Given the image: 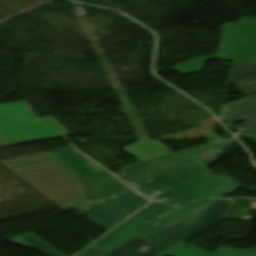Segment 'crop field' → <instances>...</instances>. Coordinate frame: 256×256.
Returning <instances> with one entry per match:
<instances>
[{
    "instance_id": "crop-field-3",
    "label": "crop field",
    "mask_w": 256,
    "mask_h": 256,
    "mask_svg": "<svg viewBox=\"0 0 256 256\" xmlns=\"http://www.w3.org/2000/svg\"><path fill=\"white\" fill-rule=\"evenodd\" d=\"M232 201L217 200L148 238L139 236L105 256H154L224 219Z\"/></svg>"
},
{
    "instance_id": "crop-field-14",
    "label": "crop field",
    "mask_w": 256,
    "mask_h": 256,
    "mask_svg": "<svg viewBox=\"0 0 256 256\" xmlns=\"http://www.w3.org/2000/svg\"><path fill=\"white\" fill-rule=\"evenodd\" d=\"M219 256H256V249H251L248 251L238 250L231 247L223 246L214 253Z\"/></svg>"
},
{
    "instance_id": "crop-field-1",
    "label": "crop field",
    "mask_w": 256,
    "mask_h": 256,
    "mask_svg": "<svg viewBox=\"0 0 256 256\" xmlns=\"http://www.w3.org/2000/svg\"><path fill=\"white\" fill-rule=\"evenodd\" d=\"M209 172L192 161L125 181L154 202L76 256H101L140 234L148 236L242 187L228 176H212Z\"/></svg>"
},
{
    "instance_id": "crop-field-13",
    "label": "crop field",
    "mask_w": 256,
    "mask_h": 256,
    "mask_svg": "<svg viewBox=\"0 0 256 256\" xmlns=\"http://www.w3.org/2000/svg\"><path fill=\"white\" fill-rule=\"evenodd\" d=\"M236 121H244L246 124L245 130L247 131V133H244V135H247L256 140V112L228 120L227 123L229 124Z\"/></svg>"
},
{
    "instance_id": "crop-field-8",
    "label": "crop field",
    "mask_w": 256,
    "mask_h": 256,
    "mask_svg": "<svg viewBox=\"0 0 256 256\" xmlns=\"http://www.w3.org/2000/svg\"><path fill=\"white\" fill-rule=\"evenodd\" d=\"M230 81L238 84L246 99L224 105L222 121L256 111V63L234 67Z\"/></svg>"
},
{
    "instance_id": "crop-field-6",
    "label": "crop field",
    "mask_w": 256,
    "mask_h": 256,
    "mask_svg": "<svg viewBox=\"0 0 256 256\" xmlns=\"http://www.w3.org/2000/svg\"><path fill=\"white\" fill-rule=\"evenodd\" d=\"M124 150L140 162L121 167L123 180L204 156V145L173 153L156 140L140 141Z\"/></svg>"
},
{
    "instance_id": "crop-field-10",
    "label": "crop field",
    "mask_w": 256,
    "mask_h": 256,
    "mask_svg": "<svg viewBox=\"0 0 256 256\" xmlns=\"http://www.w3.org/2000/svg\"><path fill=\"white\" fill-rule=\"evenodd\" d=\"M235 140L233 137L219 140V135L214 136L206 140V151L207 157L196 160L198 163L202 164L204 167L210 166L214 163L218 156Z\"/></svg>"
},
{
    "instance_id": "crop-field-11",
    "label": "crop field",
    "mask_w": 256,
    "mask_h": 256,
    "mask_svg": "<svg viewBox=\"0 0 256 256\" xmlns=\"http://www.w3.org/2000/svg\"><path fill=\"white\" fill-rule=\"evenodd\" d=\"M9 241L19 244L21 246L33 248L47 256H63L61 253H59L31 233Z\"/></svg>"
},
{
    "instance_id": "crop-field-2",
    "label": "crop field",
    "mask_w": 256,
    "mask_h": 256,
    "mask_svg": "<svg viewBox=\"0 0 256 256\" xmlns=\"http://www.w3.org/2000/svg\"><path fill=\"white\" fill-rule=\"evenodd\" d=\"M0 162L65 210L74 207L70 203L86 196L83 183L54 155L38 159L28 156Z\"/></svg>"
},
{
    "instance_id": "crop-field-15",
    "label": "crop field",
    "mask_w": 256,
    "mask_h": 256,
    "mask_svg": "<svg viewBox=\"0 0 256 256\" xmlns=\"http://www.w3.org/2000/svg\"><path fill=\"white\" fill-rule=\"evenodd\" d=\"M9 145L0 135V147Z\"/></svg>"
},
{
    "instance_id": "crop-field-4",
    "label": "crop field",
    "mask_w": 256,
    "mask_h": 256,
    "mask_svg": "<svg viewBox=\"0 0 256 256\" xmlns=\"http://www.w3.org/2000/svg\"><path fill=\"white\" fill-rule=\"evenodd\" d=\"M0 133L11 145L68 135L50 118L38 120L26 102L0 105Z\"/></svg>"
},
{
    "instance_id": "crop-field-12",
    "label": "crop field",
    "mask_w": 256,
    "mask_h": 256,
    "mask_svg": "<svg viewBox=\"0 0 256 256\" xmlns=\"http://www.w3.org/2000/svg\"><path fill=\"white\" fill-rule=\"evenodd\" d=\"M164 256H216L209 252L187 245L185 243L161 254Z\"/></svg>"
},
{
    "instance_id": "crop-field-9",
    "label": "crop field",
    "mask_w": 256,
    "mask_h": 256,
    "mask_svg": "<svg viewBox=\"0 0 256 256\" xmlns=\"http://www.w3.org/2000/svg\"><path fill=\"white\" fill-rule=\"evenodd\" d=\"M55 154L79 179L106 173L105 170L74 149L34 155L35 158Z\"/></svg>"
},
{
    "instance_id": "crop-field-5",
    "label": "crop field",
    "mask_w": 256,
    "mask_h": 256,
    "mask_svg": "<svg viewBox=\"0 0 256 256\" xmlns=\"http://www.w3.org/2000/svg\"><path fill=\"white\" fill-rule=\"evenodd\" d=\"M210 59L232 61L235 66L256 62V19H241L240 23L226 24L223 28L220 50L216 55L176 66L180 74L202 71Z\"/></svg>"
},
{
    "instance_id": "crop-field-7",
    "label": "crop field",
    "mask_w": 256,
    "mask_h": 256,
    "mask_svg": "<svg viewBox=\"0 0 256 256\" xmlns=\"http://www.w3.org/2000/svg\"><path fill=\"white\" fill-rule=\"evenodd\" d=\"M86 199L85 197L72 203L75 205L72 209L106 230L149 202L128 187L119 194L100 201H85Z\"/></svg>"
}]
</instances>
